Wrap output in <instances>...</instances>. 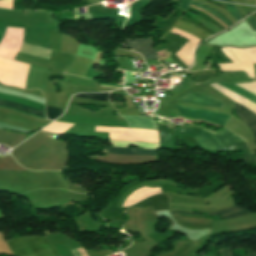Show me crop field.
<instances>
[{"instance_id":"1","label":"crop field","mask_w":256,"mask_h":256,"mask_svg":"<svg viewBox=\"0 0 256 256\" xmlns=\"http://www.w3.org/2000/svg\"><path fill=\"white\" fill-rule=\"evenodd\" d=\"M8 244L15 256H59L46 237H19Z\"/></svg>"},{"instance_id":"2","label":"crop field","mask_w":256,"mask_h":256,"mask_svg":"<svg viewBox=\"0 0 256 256\" xmlns=\"http://www.w3.org/2000/svg\"><path fill=\"white\" fill-rule=\"evenodd\" d=\"M214 136L223 145H231L239 142H245L242 138L234 135L231 131L223 128L220 131L214 132ZM211 131L202 129L201 133L194 137L198 143L207 149L213 150L215 148L223 147L213 136Z\"/></svg>"},{"instance_id":"3","label":"crop field","mask_w":256,"mask_h":256,"mask_svg":"<svg viewBox=\"0 0 256 256\" xmlns=\"http://www.w3.org/2000/svg\"><path fill=\"white\" fill-rule=\"evenodd\" d=\"M225 127L229 128L237 135L243 137L248 143L249 151L251 153H254L253 150L256 149V146L254 144L253 135L249 128L242 121L231 115L227 123L225 124Z\"/></svg>"},{"instance_id":"4","label":"crop field","mask_w":256,"mask_h":256,"mask_svg":"<svg viewBox=\"0 0 256 256\" xmlns=\"http://www.w3.org/2000/svg\"><path fill=\"white\" fill-rule=\"evenodd\" d=\"M127 44L133 51H138L143 55L144 60L155 58L158 59L156 52L153 48L152 39L142 40H126Z\"/></svg>"},{"instance_id":"5","label":"crop field","mask_w":256,"mask_h":256,"mask_svg":"<svg viewBox=\"0 0 256 256\" xmlns=\"http://www.w3.org/2000/svg\"><path fill=\"white\" fill-rule=\"evenodd\" d=\"M235 114L246 123V125L251 129L254 134L256 143V114L246 109L240 104H235L234 106Z\"/></svg>"},{"instance_id":"6","label":"crop field","mask_w":256,"mask_h":256,"mask_svg":"<svg viewBox=\"0 0 256 256\" xmlns=\"http://www.w3.org/2000/svg\"><path fill=\"white\" fill-rule=\"evenodd\" d=\"M128 123L129 127L143 129H157L156 123L151 118L142 116H125L121 115Z\"/></svg>"},{"instance_id":"7","label":"crop field","mask_w":256,"mask_h":256,"mask_svg":"<svg viewBox=\"0 0 256 256\" xmlns=\"http://www.w3.org/2000/svg\"><path fill=\"white\" fill-rule=\"evenodd\" d=\"M180 100L195 102V103H200V104H206V105H212V106H218V107H220L222 104L219 101H217L207 95H202V94H198V93H194V92H189L188 94L181 97Z\"/></svg>"},{"instance_id":"8","label":"crop field","mask_w":256,"mask_h":256,"mask_svg":"<svg viewBox=\"0 0 256 256\" xmlns=\"http://www.w3.org/2000/svg\"><path fill=\"white\" fill-rule=\"evenodd\" d=\"M157 149H122L106 147L104 152L118 153V154H142V155H156Z\"/></svg>"},{"instance_id":"9","label":"crop field","mask_w":256,"mask_h":256,"mask_svg":"<svg viewBox=\"0 0 256 256\" xmlns=\"http://www.w3.org/2000/svg\"><path fill=\"white\" fill-rule=\"evenodd\" d=\"M0 105L6 106V107H9V108H13V109L22 110V111L28 112L30 114H34V115H38V116L43 117L41 111H37V110L30 109V108H27V107H23V106H20V105H16V104H12V103H7V102H1V101H0Z\"/></svg>"},{"instance_id":"10","label":"crop field","mask_w":256,"mask_h":256,"mask_svg":"<svg viewBox=\"0 0 256 256\" xmlns=\"http://www.w3.org/2000/svg\"><path fill=\"white\" fill-rule=\"evenodd\" d=\"M237 210H241L240 207L238 206H233L221 211H216V212H210L207 215H200V216H212V215H220V214H226V213H231ZM170 213H186V214H192V215H199V214H195V213H190V212H185V211H174V212H170Z\"/></svg>"},{"instance_id":"11","label":"crop field","mask_w":256,"mask_h":256,"mask_svg":"<svg viewBox=\"0 0 256 256\" xmlns=\"http://www.w3.org/2000/svg\"><path fill=\"white\" fill-rule=\"evenodd\" d=\"M110 92L107 93H100V94H78L75 95L76 97L91 99V100H102V101H109L108 96Z\"/></svg>"},{"instance_id":"12","label":"crop field","mask_w":256,"mask_h":256,"mask_svg":"<svg viewBox=\"0 0 256 256\" xmlns=\"http://www.w3.org/2000/svg\"><path fill=\"white\" fill-rule=\"evenodd\" d=\"M63 109H57L53 107L46 106L47 119L55 120L61 114H63Z\"/></svg>"},{"instance_id":"13","label":"crop field","mask_w":256,"mask_h":256,"mask_svg":"<svg viewBox=\"0 0 256 256\" xmlns=\"http://www.w3.org/2000/svg\"><path fill=\"white\" fill-rule=\"evenodd\" d=\"M227 11L238 21L241 19V15L239 14L237 7L235 4L226 3Z\"/></svg>"},{"instance_id":"14","label":"crop field","mask_w":256,"mask_h":256,"mask_svg":"<svg viewBox=\"0 0 256 256\" xmlns=\"http://www.w3.org/2000/svg\"><path fill=\"white\" fill-rule=\"evenodd\" d=\"M250 212L249 211H246V210H241V211H237V212H234L232 214H228V215H224V216H220L222 218H231V217H237V216H241V215H245V214H249Z\"/></svg>"},{"instance_id":"15","label":"crop field","mask_w":256,"mask_h":256,"mask_svg":"<svg viewBox=\"0 0 256 256\" xmlns=\"http://www.w3.org/2000/svg\"><path fill=\"white\" fill-rule=\"evenodd\" d=\"M247 21V23L250 25V27L252 28V30H256V21L253 17V15L249 16L247 19H245Z\"/></svg>"},{"instance_id":"16","label":"crop field","mask_w":256,"mask_h":256,"mask_svg":"<svg viewBox=\"0 0 256 256\" xmlns=\"http://www.w3.org/2000/svg\"><path fill=\"white\" fill-rule=\"evenodd\" d=\"M13 0H0V7H7L12 9Z\"/></svg>"},{"instance_id":"17","label":"crop field","mask_w":256,"mask_h":256,"mask_svg":"<svg viewBox=\"0 0 256 256\" xmlns=\"http://www.w3.org/2000/svg\"><path fill=\"white\" fill-rule=\"evenodd\" d=\"M219 251H220L222 256H231V251H230L229 248L223 249V250H219Z\"/></svg>"},{"instance_id":"18","label":"crop field","mask_w":256,"mask_h":256,"mask_svg":"<svg viewBox=\"0 0 256 256\" xmlns=\"http://www.w3.org/2000/svg\"><path fill=\"white\" fill-rule=\"evenodd\" d=\"M78 251H79L81 256H87L85 251L83 250V248H79Z\"/></svg>"},{"instance_id":"19","label":"crop field","mask_w":256,"mask_h":256,"mask_svg":"<svg viewBox=\"0 0 256 256\" xmlns=\"http://www.w3.org/2000/svg\"><path fill=\"white\" fill-rule=\"evenodd\" d=\"M248 256H256V252L248 251Z\"/></svg>"},{"instance_id":"20","label":"crop field","mask_w":256,"mask_h":256,"mask_svg":"<svg viewBox=\"0 0 256 256\" xmlns=\"http://www.w3.org/2000/svg\"><path fill=\"white\" fill-rule=\"evenodd\" d=\"M113 88V87H112Z\"/></svg>"}]
</instances>
